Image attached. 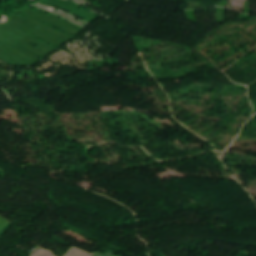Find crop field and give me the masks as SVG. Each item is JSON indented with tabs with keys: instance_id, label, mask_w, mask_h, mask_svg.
Wrapping results in <instances>:
<instances>
[{
	"instance_id": "obj_2",
	"label": "crop field",
	"mask_w": 256,
	"mask_h": 256,
	"mask_svg": "<svg viewBox=\"0 0 256 256\" xmlns=\"http://www.w3.org/2000/svg\"><path fill=\"white\" fill-rule=\"evenodd\" d=\"M114 254V252H108L105 255L101 254V253H96L94 256H112Z\"/></svg>"
},
{
	"instance_id": "obj_1",
	"label": "crop field",
	"mask_w": 256,
	"mask_h": 256,
	"mask_svg": "<svg viewBox=\"0 0 256 256\" xmlns=\"http://www.w3.org/2000/svg\"><path fill=\"white\" fill-rule=\"evenodd\" d=\"M11 223L0 216V235L4 232V230L10 225Z\"/></svg>"
}]
</instances>
